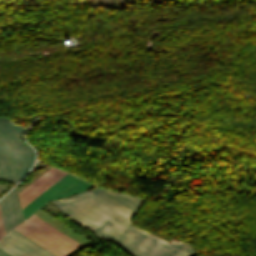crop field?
<instances>
[{"label": "crop field", "mask_w": 256, "mask_h": 256, "mask_svg": "<svg viewBox=\"0 0 256 256\" xmlns=\"http://www.w3.org/2000/svg\"><path fill=\"white\" fill-rule=\"evenodd\" d=\"M143 201L136 196L96 187L53 202L68 218L118 245L131 256H193L197 253L187 243L176 240L168 243L130 225L131 217Z\"/></svg>", "instance_id": "1"}, {"label": "crop field", "mask_w": 256, "mask_h": 256, "mask_svg": "<svg viewBox=\"0 0 256 256\" xmlns=\"http://www.w3.org/2000/svg\"><path fill=\"white\" fill-rule=\"evenodd\" d=\"M24 130L25 127L0 117V178L17 182L31 166L34 152L21 138Z\"/></svg>", "instance_id": "2"}, {"label": "crop field", "mask_w": 256, "mask_h": 256, "mask_svg": "<svg viewBox=\"0 0 256 256\" xmlns=\"http://www.w3.org/2000/svg\"><path fill=\"white\" fill-rule=\"evenodd\" d=\"M15 229L58 256H65L80 245L34 214Z\"/></svg>", "instance_id": "3"}, {"label": "crop field", "mask_w": 256, "mask_h": 256, "mask_svg": "<svg viewBox=\"0 0 256 256\" xmlns=\"http://www.w3.org/2000/svg\"><path fill=\"white\" fill-rule=\"evenodd\" d=\"M95 185L85 182L69 173L60 178L52 186L37 196L29 204L22 208L23 216L26 219L45 202L51 199L65 197L74 193L82 192Z\"/></svg>", "instance_id": "4"}, {"label": "crop field", "mask_w": 256, "mask_h": 256, "mask_svg": "<svg viewBox=\"0 0 256 256\" xmlns=\"http://www.w3.org/2000/svg\"><path fill=\"white\" fill-rule=\"evenodd\" d=\"M0 250L10 256H56L15 229L0 240Z\"/></svg>", "instance_id": "5"}, {"label": "crop field", "mask_w": 256, "mask_h": 256, "mask_svg": "<svg viewBox=\"0 0 256 256\" xmlns=\"http://www.w3.org/2000/svg\"><path fill=\"white\" fill-rule=\"evenodd\" d=\"M64 174H66V172L53 167L47 170L43 175L18 193L21 207L29 203Z\"/></svg>", "instance_id": "6"}, {"label": "crop field", "mask_w": 256, "mask_h": 256, "mask_svg": "<svg viewBox=\"0 0 256 256\" xmlns=\"http://www.w3.org/2000/svg\"><path fill=\"white\" fill-rule=\"evenodd\" d=\"M0 209L6 233L23 221L15 188L0 200Z\"/></svg>", "instance_id": "7"}, {"label": "crop field", "mask_w": 256, "mask_h": 256, "mask_svg": "<svg viewBox=\"0 0 256 256\" xmlns=\"http://www.w3.org/2000/svg\"><path fill=\"white\" fill-rule=\"evenodd\" d=\"M5 235L4 227L2 223L1 213H0V238Z\"/></svg>", "instance_id": "8"}, {"label": "crop field", "mask_w": 256, "mask_h": 256, "mask_svg": "<svg viewBox=\"0 0 256 256\" xmlns=\"http://www.w3.org/2000/svg\"><path fill=\"white\" fill-rule=\"evenodd\" d=\"M0 256H8V255L0 251Z\"/></svg>", "instance_id": "9"}]
</instances>
